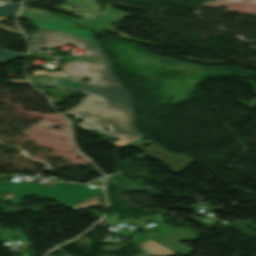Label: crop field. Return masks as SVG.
I'll list each match as a JSON object with an SVG mask.
<instances>
[{
    "instance_id": "crop-field-1",
    "label": "crop field",
    "mask_w": 256,
    "mask_h": 256,
    "mask_svg": "<svg viewBox=\"0 0 256 256\" xmlns=\"http://www.w3.org/2000/svg\"><path fill=\"white\" fill-rule=\"evenodd\" d=\"M30 23L39 29V32L31 37L34 51H41L43 48L52 50L68 42L88 52L79 58L71 56L61 59L67 62L66 67L62 68L63 72H34V76L29 78L32 84L89 94L79 106L65 114L86 120L77 125L83 129H96L102 134L121 138L115 143H110L118 148L144 137L135 131V114L127 91L125 92L116 78L106 54L93 40L90 31L34 21ZM87 78H90L91 82H80L81 79ZM104 127L110 128L111 131L103 130Z\"/></svg>"
},
{
    "instance_id": "crop-field-2",
    "label": "crop field",
    "mask_w": 256,
    "mask_h": 256,
    "mask_svg": "<svg viewBox=\"0 0 256 256\" xmlns=\"http://www.w3.org/2000/svg\"><path fill=\"white\" fill-rule=\"evenodd\" d=\"M13 192L15 199L13 206H18L21 199L28 195H35L39 198L56 199L66 207L71 206L101 190L91 186L54 183L50 188L37 186L31 183H21L16 180L7 181L6 185L0 190Z\"/></svg>"
},
{
    "instance_id": "crop-field-3",
    "label": "crop field",
    "mask_w": 256,
    "mask_h": 256,
    "mask_svg": "<svg viewBox=\"0 0 256 256\" xmlns=\"http://www.w3.org/2000/svg\"><path fill=\"white\" fill-rule=\"evenodd\" d=\"M148 144H152V145L145 149L144 146ZM131 147L138 148L142 151L147 152L146 154L136 155L133 157L143 160L147 155L155 156L159 161L164 163L171 170L177 171V172L185 170L188 166H190L192 163L195 162L186 156L170 154L169 152L158 147L156 144H154L148 139L136 145H133ZM178 160H181V162H178Z\"/></svg>"
},
{
    "instance_id": "crop-field-4",
    "label": "crop field",
    "mask_w": 256,
    "mask_h": 256,
    "mask_svg": "<svg viewBox=\"0 0 256 256\" xmlns=\"http://www.w3.org/2000/svg\"><path fill=\"white\" fill-rule=\"evenodd\" d=\"M111 8L112 7L104 6V10H103L96 26H95L96 33H102L101 32L102 29H108V30H111V31L119 34L124 39L132 40V41H138V42H142V43L157 46V47H162V46H158V45H155V44L148 43V42L143 41V40L131 38V37L127 36L126 34L122 33V32L114 30L115 27L111 26V25L118 22V19L125 18V17H130V16H133V15L113 11V10H111Z\"/></svg>"
},
{
    "instance_id": "crop-field-5",
    "label": "crop field",
    "mask_w": 256,
    "mask_h": 256,
    "mask_svg": "<svg viewBox=\"0 0 256 256\" xmlns=\"http://www.w3.org/2000/svg\"><path fill=\"white\" fill-rule=\"evenodd\" d=\"M20 17L78 27L77 25H75L67 20L62 19V18L52 14L49 11L35 10L32 8H28V7L24 8Z\"/></svg>"
},
{
    "instance_id": "crop-field-6",
    "label": "crop field",
    "mask_w": 256,
    "mask_h": 256,
    "mask_svg": "<svg viewBox=\"0 0 256 256\" xmlns=\"http://www.w3.org/2000/svg\"><path fill=\"white\" fill-rule=\"evenodd\" d=\"M89 13L90 12L85 11L82 14H77V16L85 17L84 19H81V20L74 19L72 17L61 15V14H57V13H55V14L65 18V19H67V20H69V21H71V22H73V23H75V24H77V25H79V26H81L83 28H92V25H93V23H94V21H95V19H96L98 14H96V13L89 14ZM87 19H89V20H87ZM87 23L89 25H87Z\"/></svg>"
},
{
    "instance_id": "crop-field-7",
    "label": "crop field",
    "mask_w": 256,
    "mask_h": 256,
    "mask_svg": "<svg viewBox=\"0 0 256 256\" xmlns=\"http://www.w3.org/2000/svg\"><path fill=\"white\" fill-rule=\"evenodd\" d=\"M19 4L0 0V16H15Z\"/></svg>"
},
{
    "instance_id": "crop-field-8",
    "label": "crop field",
    "mask_w": 256,
    "mask_h": 256,
    "mask_svg": "<svg viewBox=\"0 0 256 256\" xmlns=\"http://www.w3.org/2000/svg\"><path fill=\"white\" fill-rule=\"evenodd\" d=\"M68 4H80L83 7L88 8V11L99 13L100 6L96 4L93 0H67Z\"/></svg>"
},
{
    "instance_id": "crop-field-9",
    "label": "crop field",
    "mask_w": 256,
    "mask_h": 256,
    "mask_svg": "<svg viewBox=\"0 0 256 256\" xmlns=\"http://www.w3.org/2000/svg\"><path fill=\"white\" fill-rule=\"evenodd\" d=\"M20 57H26V54L13 53L9 51L0 50V64L5 63Z\"/></svg>"
},
{
    "instance_id": "crop-field-10",
    "label": "crop field",
    "mask_w": 256,
    "mask_h": 256,
    "mask_svg": "<svg viewBox=\"0 0 256 256\" xmlns=\"http://www.w3.org/2000/svg\"><path fill=\"white\" fill-rule=\"evenodd\" d=\"M174 58L184 59V60H188V61H192V62H196V61H194V59H197L198 60L197 63H224V64H232L230 62L213 61V60H206V59L193 58V57H174Z\"/></svg>"
},
{
    "instance_id": "crop-field-11",
    "label": "crop field",
    "mask_w": 256,
    "mask_h": 256,
    "mask_svg": "<svg viewBox=\"0 0 256 256\" xmlns=\"http://www.w3.org/2000/svg\"><path fill=\"white\" fill-rule=\"evenodd\" d=\"M239 80H243V81H245L244 79H239ZM245 82H246L247 84L252 85V86H253V88H254V89H255V91H256V84H255V82H254V81H252V80H248V81H245ZM255 94H256V92H255ZM235 100H237V101H239V102H241V103H243V104H245V105H247V106H249V107H251V108L256 107V99L249 100V101L238 100V99H235ZM247 102H249V104H247Z\"/></svg>"
},
{
    "instance_id": "crop-field-12",
    "label": "crop field",
    "mask_w": 256,
    "mask_h": 256,
    "mask_svg": "<svg viewBox=\"0 0 256 256\" xmlns=\"http://www.w3.org/2000/svg\"><path fill=\"white\" fill-rule=\"evenodd\" d=\"M31 56L37 57V58H41L44 60H48V59H53L55 57H52L46 53H31Z\"/></svg>"
},
{
    "instance_id": "crop-field-13",
    "label": "crop field",
    "mask_w": 256,
    "mask_h": 256,
    "mask_svg": "<svg viewBox=\"0 0 256 256\" xmlns=\"http://www.w3.org/2000/svg\"><path fill=\"white\" fill-rule=\"evenodd\" d=\"M6 83H15V84H28L27 80H9Z\"/></svg>"
},
{
    "instance_id": "crop-field-14",
    "label": "crop field",
    "mask_w": 256,
    "mask_h": 256,
    "mask_svg": "<svg viewBox=\"0 0 256 256\" xmlns=\"http://www.w3.org/2000/svg\"><path fill=\"white\" fill-rule=\"evenodd\" d=\"M55 9H60V10H65L70 12L71 10H73V8L69 7V6H53Z\"/></svg>"
},
{
    "instance_id": "crop-field-15",
    "label": "crop field",
    "mask_w": 256,
    "mask_h": 256,
    "mask_svg": "<svg viewBox=\"0 0 256 256\" xmlns=\"http://www.w3.org/2000/svg\"><path fill=\"white\" fill-rule=\"evenodd\" d=\"M5 19H9V18H0V20H5ZM0 27H1V28H4V29H7V30H9V31L15 32V31L10 30V29H8V28H5V27H3V26H0Z\"/></svg>"
},
{
    "instance_id": "crop-field-16",
    "label": "crop field",
    "mask_w": 256,
    "mask_h": 256,
    "mask_svg": "<svg viewBox=\"0 0 256 256\" xmlns=\"http://www.w3.org/2000/svg\"><path fill=\"white\" fill-rule=\"evenodd\" d=\"M6 181H0V189L5 185Z\"/></svg>"
}]
</instances>
